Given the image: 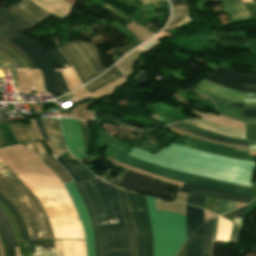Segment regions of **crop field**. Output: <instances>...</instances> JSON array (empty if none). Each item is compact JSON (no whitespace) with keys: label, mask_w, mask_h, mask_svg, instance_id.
<instances>
[{"label":"crop field","mask_w":256,"mask_h":256,"mask_svg":"<svg viewBox=\"0 0 256 256\" xmlns=\"http://www.w3.org/2000/svg\"><path fill=\"white\" fill-rule=\"evenodd\" d=\"M5 163L0 159V166ZM0 194L20 214L30 241L54 239L47 217L35 196L5 165L0 167Z\"/></svg>","instance_id":"obj_1"},{"label":"crop field","mask_w":256,"mask_h":256,"mask_svg":"<svg viewBox=\"0 0 256 256\" xmlns=\"http://www.w3.org/2000/svg\"><path fill=\"white\" fill-rule=\"evenodd\" d=\"M27 29L26 26L20 24L0 9V35L10 40ZM10 41L22 48L36 67L42 71L46 92L52 94L54 98L62 95V89L56 78L54 69L69 67L70 64L60 52L57 49H52L46 53L22 33Z\"/></svg>","instance_id":"obj_2"},{"label":"crop field","mask_w":256,"mask_h":256,"mask_svg":"<svg viewBox=\"0 0 256 256\" xmlns=\"http://www.w3.org/2000/svg\"><path fill=\"white\" fill-rule=\"evenodd\" d=\"M146 199L154 238V256H174L186 240L185 216L156 212L155 199Z\"/></svg>","instance_id":"obj_3"},{"label":"crop field","mask_w":256,"mask_h":256,"mask_svg":"<svg viewBox=\"0 0 256 256\" xmlns=\"http://www.w3.org/2000/svg\"><path fill=\"white\" fill-rule=\"evenodd\" d=\"M18 177L37 197L48 218H77L71 200L59 179L38 175Z\"/></svg>","instance_id":"obj_4"},{"label":"crop field","mask_w":256,"mask_h":256,"mask_svg":"<svg viewBox=\"0 0 256 256\" xmlns=\"http://www.w3.org/2000/svg\"><path fill=\"white\" fill-rule=\"evenodd\" d=\"M106 214L111 236L112 256H129L126 228L118 204L116 189L97 178L90 181Z\"/></svg>","instance_id":"obj_5"},{"label":"crop field","mask_w":256,"mask_h":256,"mask_svg":"<svg viewBox=\"0 0 256 256\" xmlns=\"http://www.w3.org/2000/svg\"><path fill=\"white\" fill-rule=\"evenodd\" d=\"M115 160L122 162L124 164L136 167L138 169L154 173L160 176H164L167 178H171L174 180L187 182L191 184L201 185L209 188H215L220 190H225L237 194H243L250 196L251 193V187L247 186H241V185H235V184H229L225 182H220L216 180H211L207 178L197 177L193 175H188L176 171L169 170L167 168H161L156 165L150 164L148 162L137 160L131 156H128L122 152L118 154V156L115 158Z\"/></svg>","instance_id":"obj_6"},{"label":"crop field","mask_w":256,"mask_h":256,"mask_svg":"<svg viewBox=\"0 0 256 256\" xmlns=\"http://www.w3.org/2000/svg\"><path fill=\"white\" fill-rule=\"evenodd\" d=\"M59 49L74 66L83 83L105 69L96 49L88 42L74 41L59 46Z\"/></svg>","instance_id":"obj_7"},{"label":"crop field","mask_w":256,"mask_h":256,"mask_svg":"<svg viewBox=\"0 0 256 256\" xmlns=\"http://www.w3.org/2000/svg\"><path fill=\"white\" fill-rule=\"evenodd\" d=\"M126 195L136 231L137 256H153V238L146 199L127 192Z\"/></svg>","instance_id":"obj_8"},{"label":"crop field","mask_w":256,"mask_h":256,"mask_svg":"<svg viewBox=\"0 0 256 256\" xmlns=\"http://www.w3.org/2000/svg\"><path fill=\"white\" fill-rule=\"evenodd\" d=\"M181 135L182 136L178 140L177 144L217 155L255 161L254 158L247 153L248 149L223 146L219 144L202 141L185 134Z\"/></svg>","instance_id":"obj_9"},{"label":"crop field","mask_w":256,"mask_h":256,"mask_svg":"<svg viewBox=\"0 0 256 256\" xmlns=\"http://www.w3.org/2000/svg\"><path fill=\"white\" fill-rule=\"evenodd\" d=\"M80 184L90 202L99 228L101 254L102 256H111L109 229L100 207V202L88 182Z\"/></svg>","instance_id":"obj_10"},{"label":"crop field","mask_w":256,"mask_h":256,"mask_svg":"<svg viewBox=\"0 0 256 256\" xmlns=\"http://www.w3.org/2000/svg\"><path fill=\"white\" fill-rule=\"evenodd\" d=\"M206 80L231 88L233 90L256 93V89L254 88H243V83L256 85V75L233 73L219 67Z\"/></svg>","instance_id":"obj_11"},{"label":"crop field","mask_w":256,"mask_h":256,"mask_svg":"<svg viewBox=\"0 0 256 256\" xmlns=\"http://www.w3.org/2000/svg\"><path fill=\"white\" fill-rule=\"evenodd\" d=\"M4 10L31 29L50 15L28 0H20Z\"/></svg>","instance_id":"obj_12"},{"label":"crop field","mask_w":256,"mask_h":256,"mask_svg":"<svg viewBox=\"0 0 256 256\" xmlns=\"http://www.w3.org/2000/svg\"><path fill=\"white\" fill-rule=\"evenodd\" d=\"M65 186L72 197L73 203L77 209L79 218H80L83 228L85 230L86 243H87V255L88 256H96L95 255L93 229L91 227L89 216L85 210L83 201L81 200L73 182L65 184Z\"/></svg>","instance_id":"obj_13"},{"label":"crop field","mask_w":256,"mask_h":256,"mask_svg":"<svg viewBox=\"0 0 256 256\" xmlns=\"http://www.w3.org/2000/svg\"><path fill=\"white\" fill-rule=\"evenodd\" d=\"M66 145L73 156L82 159L81 155L86 159L82 146L81 132L78 122L72 119H60ZM81 155H80V152ZM78 159V160H79Z\"/></svg>","instance_id":"obj_14"},{"label":"crop field","mask_w":256,"mask_h":256,"mask_svg":"<svg viewBox=\"0 0 256 256\" xmlns=\"http://www.w3.org/2000/svg\"><path fill=\"white\" fill-rule=\"evenodd\" d=\"M25 145L30 150L45 148L41 142L29 143ZM33 152L36 153L39 156V158L59 176L62 183L71 181V178L68 176V174L57 163L55 158L46 151V149L34 150Z\"/></svg>","instance_id":"obj_15"},{"label":"crop field","mask_w":256,"mask_h":256,"mask_svg":"<svg viewBox=\"0 0 256 256\" xmlns=\"http://www.w3.org/2000/svg\"><path fill=\"white\" fill-rule=\"evenodd\" d=\"M181 190L190 192V193H194V194L229 199V200H233L236 202L248 203V201H249L248 196L232 194V193H228V192H224V191H220V190L209 189V188H204V187L195 186V185H189V184H185V183H184L183 187L181 188Z\"/></svg>","instance_id":"obj_16"},{"label":"crop field","mask_w":256,"mask_h":256,"mask_svg":"<svg viewBox=\"0 0 256 256\" xmlns=\"http://www.w3.org/2000/svg\"><path fill=\"white\" fill-rule=\"evenodd\" d=\"M117 189V188H116ZM119 204L122 210L123 219L127 228L130 256H136L135 232L130 218L125 192L117 189Z\"/></svg>","instance_id":"obj_17"},{"label":"crop field","mask_w":256,"mask_h":256,"mask_svg":"<svg viewBox=\"0 0 256 256\" xmlns=\"http://www.w3.org/2000/svg\"><path fill=\"white\" fill-rule=\"evenodd\" d=\"M52 15L64 19L74 5L64 0H31Z\"/></svg>","instance_id":"obj_18"},{"label":"crop field","mask_w":256,"mask_h":256,"mask_svg":"<svg viewBox=\"0 0 256 256\" xmlns=\"http://www.w3.org/2000/svg\"><path fill=\"white\" fill-rule=\"evenodd\" d=\"M185 122L225 136L239 137L245 139V131L228 129L220 125L207 122L203 119H194Z\"/></svg>","instance_id":"obj_19"},{"label":"crop field","mask_w":256,"mask_h":256,"mask_svg":"<svg viewBox=\"0 0 256 256\" xmlns=\"http://www.w3.org/2000/svg\"><path fill=\"white\" fill-rule=\"evenodd\" d=\"M41 121L43 123L46 134L48 135L51 143L53 144L58 154L64 152L65 148L60 135L57 120L41 119Z\"/></svg>","instance_id":"obj_20"},{"label":"crop field","mask_w":256,"mask_h":256,"mask_svg":"<svg viewBox=\"0 0 256 256\" xmlns=\"http://www.w3.org/2000/svg\"><path fill=\"white\" fill-rule=\"evenodd\" d=\"M186 235H189L201 224L204 223L203 210L186 206Z\"/></svg>","instance_id":"obj_21"},{"label":"crop field","mask_w":256,"mask_h":256,"mask_svg":"<svg viewBox=\"0 0 256 256\" xmlns=\"http://www.w3.org/2000/svg\"><path fill=\"white\" fill-rule=\"evenodd\" d=\"M0 208L7 215L8 219L11 222V226H12V229L14 231V234H15L18 246H19V250H20L21 256H31V252H30L28 241H22V239L20 237L18 226H17V224L15 222V219H14L13 215L8 211L6 206L1 201H0Z\"/></svg>","instance_id":"obj_22"},{"label":"crop field","mask_w":256,"mask_h":256,"mask_svg":"<svg viewBox=\"0 0 256 256\" xmlns=\"http://www.w3.org/2000/svg\"><path fill=\"white\" fill-rule=\"evenodd\" d=\"M203 228L200 226L187 240L186 256H201Z\"/></svg>","instance_id":"obj_23"},{"label":"crop field","mask_w":256,"mask_h":256,"mask_svg":"<svg viewBox=\"0 0 256 256\" xmlns=\"http://www.w3.org/2000/svg\"><path fill=\"white\" fill-rule=\"evenodd\" d=\"M19 142L38 141L32 125L21 126L20 124H9Z\"/></svg>","instance_id":"obj_24"},{"label":"crop field","mask_w":256,"mask_h":256,"mask_svg":"<svg viewBox=\"0 0 256 256\" xmlns=\"http://www.w3.org/2000/svg\"><path fill=\"white\" fill-rule=\"evenodd\" d=\"M121 78V76L116 72V70L113 68L107 72H105L103 75H101L99 78H97L92 83L84 86L83 88L87 92H93L102 86H104L107 83L113 82L117 79Z\"/></svg>","instance_id":"obj_25"},{"label":"crop field","mask_w":256,"mask_h":256,"mask_svg":"<svg viewBox=\"0 0 256 256\" xmlns=\"http://www.w3.org/2000/svg\"><path fill=\"white\" fill-rule=\"evenodd\" d=\"M0 51H2L5 55H7L18 68H31V66L24 60L22 56H20L17 52H15L12 48H10L6 43L0 40Z\"/></svg>","instance_id":"obj_26"},{"label":"crop field","mask_w":256,"mask_h":256,"mask_svg":"<svg viewBox=\"0 0 256 256\" xmlns=\"http://www.w3.org/2000/svg\"><path fill=\"white\" fill-rule=\"evenodd\" d=\"M76 187H77V190L81 196V198L83 199L84 203H85V206L87 208V211H88V214L90 216V219H91V223H92V227L94 229V236H95V245H96V255L97 256H101L100 255V247H99V239H98V230H97V226H96V223H95V219H94V216H93V213H92V210H91V207L87 201V198L83 192V190L81 189L79 183H75Z\"/></svg>","instance_id":"obj_27"},{"label":"crop field","mask_w":256,"mask_h":256,"mask_svg":"<svg viewBox=\"0 0 256 256\" xmlns=\"http://www.w3.org/2000/svg\"><path fill=\"white\" fill-rule=\"evenodd\" d=\"M0 222L6 236L8 248L10 249V248L16 247L17 245H16L15 237L11 229L10 223L1 209H0Z\"/></svg>","instance_id":"obj_28"},{"label":"crop field","mask_w":256,"mask_h":256,"mask_svg":"<svg viewBox=\"0 0 256 256\" xmlns=\"http://www.w3.org/2000/svg\"><path fill=\"white\" fill-rule=\"evenodd\" d=\"M62 159L75 171L82 182L94 178L77 160H66L64 157Z\"/></svg>","instance_id":"obj_29"},{"label":"crop field","mask_w":256,"mask_h":256,"mask_svg":"<svg viewBox=\"0 0 256 256\" xmlns=\"http://www.w3.org/2000/svg\"><path fill=\"white\" fill-rule=\"evenodd\" d=\"M190 21H193V18L191 16L190 12L172 15V17L169 21V24L167 25V27L164 30L178 28L183 23L190 22Z\"/></svg>","instance_id":"obj_30"},{"label":"crop field","mask_w":256,"mask_h":256,"mask_svg":"<svg viewBox=\"0 0 256 256\" xmlns=\"http://www.w3.org/2000/svg\"><path fill=\"white\" fill-rule=\"evenodd\" d=\"M32 253L35 252V246H41L42 252H50V246H54L53 241H40V242H29ZM41 253L40 247H36V253L32 255H37ZM55 255L54 247H51V253H43V256ZM40 256V255H39Z\"/></svg>","instance_id":"obj_31"},{"label":"crop field","mask_w":256,"mask_h":256,"mask_svg":"<svg viewBox=\"0 0 256 256\" xmlns=\"http://www.w3.org/2000/svg\"><path fill=\"white\" fill-rule=\"evenodd\" d=\"M171 126L177 128V129H180V130H183V131H186V132L195 134V135H197V136H199V137L208 138V139L215 140V141H218V142H224V143H231V144H238V145L249 146L248 143H242V142H235V141L223 140V139H219V138L207 136V135H204V134L199 133V132H197V131H194V130H191V129L182 127V126L177 125V124H174V125H171Z\"/></svg>","instance_id":"obj_32"},{"label":"crop field","mask_w":256,"mask_h":256,"mask_svg":"<svg viewBox=\"0 0 256 256\" xmlns=\"http://www.w3.org/2000/svg\"><path fill=\"white\" fill-rule=\"evenodd\" d=\"M0 200L8 207L10 212L14 215V217H15L17 223H18V226H19V229H20L23 240H28L24 224H23L21 218L19 217L18 213L10 205V203L6 199H4L1 195H0Z\"/></svg>","instance_id":"obj_33"},{"label":"crop field","mask_w":256,"mask_h":256,"mask_svg":"<svg viewBox=\"0 0 256 256\" xmlns=\"http://www.w3.org/2000/svg\"><path fill=\"white\" fill-rule=\"evenodd\" d=\"M212 222L213 220L205 224L202 256H209Z\"/></svg>","instance_id":"obj_34"},{"label":"crop field","mask_w":256,"mask_h":256,"mask_svg":"<svg viewBox=\"0 0 256 256\" xmlns=\"http://www.w3.org/2000/svg\"><path fill=\"white\" fill-rule=\"evenodd\" d=\"M177 124H180V125H183V126H186V127L192 128V129H195V130H197V131H199V132H202V133H204V134H207V135H211V136L222 137V138H227V139H232V140H237V141H244V142H246V140H243V139L231 138V137H225V136H222V135H218V134H215V133H212V132L203 130V129H201V128L195 127V126H193V125H190V124H187V123H184V122L177 123Z\"/></svg>","instance_id":"obj_35"},{"label":"crop field","mask_w":256,"mask_h":256,"mask_svg":"<svg viewBox=\"0 0 256 256\" xmlns=\"http://www.w3.org/2000/svg\"><path fill=\"white\" fill-rule=\"evenodd\" d=\"M205 198L203 196H198V195H194V194H188V198H187V202L188 204H192V205H196V206H200L203 208L204 206V202H205Z\"/></svg>","instance_id":"obj_36"},{"label":"crop field","mask_w":256,"mask_h":256,"mask_svg":"<svg viewBox=\"0 0 256 256\" xmlns=\"http://www.w3.org/2000/svg\"><path fill=\"white\" fill-rule=\"evenodd\" d=\"M236 204H237L236 202L222 199L218 214L221 215L223 213H226L228 211L235 209Z\"/></svg>","instance_id":"obj_37"},{"label":"crop field","mask_w":256,"mask_h":256,"mask_svg":"<svg viewBox=\"0 0 256 256\" xmlns=\"http://www.w3.org/2000/svg\"><path fill=\"white\" fill-rule=\"evenodd\" d=\"M224 9L226 10V12L228 13L231 21H235V20H241V18L239 17V15L237 14L234 4L233 3H228V4H223Z\"/></svg>","instance_id":"obj_38"},{"label":"crop field","mask_w":256,"mask_h":256,"mask_svg":"<svg viewBox=\"0 0 256 256\" xmlns=\"http://www.w3.org/2000/svg\"><path fill=\"white\" fill-rule=\"evenodd\" d=\"M195 89H196V88H195ZM197 90H200V91H202V92L211 94V95L216 96V97H218V98H220V99L227 100V101H231V102H235V103H238V104H241V105H244V106H256V103H254V104H243V101L231 99V98H228V97H224V96H221V95L216 94V93H214V92L204 90V89H202V88H200V87H197Z\"/></svg>","instance_id":"obj_39"},{"label":"crop field","mask_w":256,"mask_h":256,"mask_svg":"<svg viewBox=\"0 0 256 256\" xmlns=\"http://www.w3.org/2000/svg\"><path fill=\"white\" fill-rule=\"evenodd\" d=\"M234 4L243 21L252 19L251 15L248 13L244 4H237V3H234Z\"/></svg>","instance_id":"obj_40"},{"label":"crop field","mask_w":256,"mask_h":256,"mask_svg":"<svg viewBox=\"0 0 256 256\" xmlns=\"http://www.w3.org/2000/svg\"><path fill=\"white\" fill-rule=\"evenodd\" d=\"M0 39L3 40L4 42H6L9 46H11L19 54H21L26 59V61L32 66V68H36L35 65L32 63V61L29 59V57L24 53V51L22 49L18 48L17 46H15L14 44L9 42L8 40L3 38L2 36H0Z\"/></svg>","instance_id":"obj_41"},{"label":"crop field","mask_w":256,"mask_h":256,"mask_svg":"<svg viewBox=\"0 0 256 256\" xmlns=\"http://www.w3.org/2000/svg\"><path fill=\"white\" fill-rule=\"evenodd\" d=\"M246 207L247 205L236 210L233 222L242 225V222L246 214Z\"/></svg>","instance_id":"obj_42"},{"label":"crop field","mask_w":256,"mask_h":256,"mask_svg":"<svg viewBox=\"0 0 256 256\" xmlns=\"http://www.w3.org/2000/svg\"><path fill=\"white\" fill-rule=\"evenodd\" d=\"M242 117L256 118V108L243 107V116Z\"/></svg>","instance_id":"obj_43"},{"label":"crop field","mask_w":256,"mask_h":256,"mask_svg":"<svg viewBox=\"0 0 256 256\" xmlns=\"http://www.w3.org/2000/svg\"><path fill=\"white\" fill-rule=\"evenodd\" d=\"M239 230H240V227L233 224L229 242H235L236 243L237 237L239 235Z\"/></svg>","instance_id":"obj_44"},{"label":"crop field","mask_w":256,"mask_h":256,"mask_svg":"<svg viewBox=\"0 0 256 256\" xmlns=\"http://www.w3.org/2000/svg\"><path fill=\"white\" fill-rule=\"evenodd\" d=\"M59 163L64 167V169L73 177L74 181H80L77 176L70 170L67 164L59 157H57Z\"/></svg>","instance_id":"obj_45"},{"label":"crop field","mask_w":256,"mask_h":256,"mask_svg":"<svg viewBox=\"0 0 256 256\" xmlns=\"http://www.w3.org/2000/svg\"><path fill=\"white\" fill-rule=\"evenodd\" d=\"M171 4H172V9L189 6V5L187 4V1H186V0H180V1L171 0Z\"/></svg>","instance_id":"obj_46"},{"label":"crop field","mask_w":256,"mask_h":256,"mask_svg":"<svg viewBox=\"0 0 256 256\" xmlns=\"http://www.w3.org/2000/svg\"><path fill=\"white\" fill-rule=\"evenodd\" d=\"M0 231H1V235H2V237L4 239V242H5V247H6L7 255L8 256H15L14 248L10 249V250H8V248H7V244H6V241H5V237H4V233H3V230L1 228V225H0Z\"/></svg>","instance_id":"obj_47"},{"label":"crop field","mask_w":256,"mask_h":256,"mask_svg":"<svg viewBox=\"0 0 256 256\" xmlns=\"http://www.w3.org/2000/svg\"><path fill=\"white\" fill-rule=\"evenodd\" d=\"M195 91H197V90H195ZM197 92H199V91H197ZM199 93H201V94H203V95H205V96H207V97L213 98V99H215V100H217V101H219V102H221V103H223V104H225V105H228V106H230V107H232V108H235V109H237V110H239V111L242 112V109H241V108L233 107V106H231V104H230L229 102H226V101H223V100H220V99H217V98L208 96V95H206V94H204V93H202V92H199Z\"/></svg>","instance_id":"obj_48"},{"label":"crop field","mask_w":256,"mask_h":256,"mask_svg":"<svg viewBox=\"0 0 256 256\" xmlns=\"http://www.w3.org/2000/svg\"><path fill=\"white\" fill-rule=\"evenodd\" d=\"M34 120H35V122H36V124H37V126H38V128H39V130H40V132H41V134H42V137H43L44 139L48 140V138H47V136H46V134H45V132H44L42 126H41L40 119H34Z\"/></svg>","instance_id":"obj_49"},{"label":"crop field","mask_w":256,"mask_h":256,"mask_svg":"<svg viewBox=\"0 0 256 256\" xmlns=\"http://www.w3.org/2000/svg\"><path fill=\"white\" fill-rule=\"evenodd\" d=\"M246 140L249 143V145L256 144V138H246Z\"/></svg>","instance_id":"obj_50"},{"label":"crop field","mask_w":256,"mask_h":256,"mask_svg":"<svg viewBox=\"0 0 256 256\" xmlns=\"http://www.w3.org/2000/svg\"><path fill=\"white\" fill-rule=\"evenodd\" d=\"M245 98H256V94L245 93Z\"/></svg>","instance_id":"obj_51"},{"label":"crop field","mask_w":256,"mask_h":256,"mask_svg":"<svg viewBox=\"0 0 256 256\" xmlns=\"http://www.w3.org/2000/svg\"><path fill=\"white\" fill-rule=\"evenodd\" d=\"M219 201H220V199L217 198L216 206H215V210H214L215 213L218 212Z\"/></svg>","instance_id":"obj_52"},{"label":"crop field","mask_w":256,"mask_h":256,"mask_svg":"<svg viewBox=\"0 0 256 256\" xmlns=\"http://www.w3.org/2000/svg\"><path fill=\"white\" fill-rule=\"evenodd\" d=\"M5 146H6L5 142L2 139V137L0 136V147H5Z\"/></svg>","instance_id":"obj_53"},{"label":"crop field","mask_w":256,"mask_h":256,"mask_svg":"<svg viewBox=\"0 0 256 256\" xmlns=\"http://www.w3.org/2000/svg\"><path fill=\"white\" fill-rule=\"evenodd\" d=\"M243 122H256V119H242Z\"/></svg>","instance_id":"obj_54"},{"label":"crop field","mask_w":256,"mask_h":256,"mask_svg":"<svg viewBox=\"0 0 256 256\" xmlns=\"http://www.w3.org/2000/svg\"><path fill=\"white\" fill-rule=\"evenodd\" d=\"M143 2V4L145 3H149V2H153V1H158V0H141Z\"/></svg>","instance_id":"obj_55"},{"label":"crop field","mask_w":256,"mask_h":256,"mask_svg":"<svg viewBox=\"0 0 256 256\" xmlns=\"http://www.w3.org/2000/svg\"><path fill=\"white\" fill-rule=\"evenodd\" d=\"M242 1H245V2H252V0H242Z\"/></svg>","instance_id":"obj_56"},{"label":"crop field","mask_w":256,"mask_h":256,"mask_svg":"<svg viewBox=\"0 0 256 256\" xmlns=\"http://www.w3.org/2000/svg\"><path fill=\"white\" fill-rule=\"evenodd\" d=\"M231 1H234V2H241L240 0H231Z\"/></svg>","instance_id":"obj_57"},{"label":"crop field","mask_w":256,"mask_h":256,"mask_svg":"<svg viewBox=\"0 0 256 256\" xmlns=\"http://www.w3.org/2000/svg\"><path fill=\"white\" fill-rule=\"evenodd\" d=\"M220 1H229V0H220Z\"/></svg>","instance_id":"obj_58"},{"label":"crop field","mask_w":256,"mask_h":256,"mask_svg":"<svg viewBox=\"0 0 256 256\" xmlns=\"http://www.w3.org/2000/svg\"><path fill=\"white\" fill-rule=\"evenodd\" d=\"M254 1V3H256V0H253Z\"/></svg>","instance_id":"obj_59"},{"label":"crop field","mask_w":256,"mask_h":256,"mask_svg":"<svg viewBox=\"0 0 256 256\" xmlns=\"http://www.w3.org/2000/svg\"><path fill=\"white\" fill-rule=\"evenodd\" d=\"M215 1H219V0H215Z\"/></svg>","instance_id":"obj_60"}]
</instances>
